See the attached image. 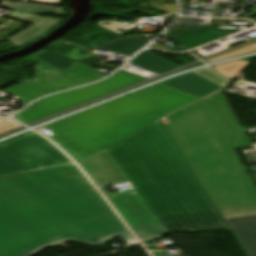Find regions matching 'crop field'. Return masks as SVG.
Returning a JSON list of instances; mask_svg holds the SVG:
<instances>
[{
	"label": "crop field",
	"mask_w": 256,
	"mask_h": 256,
	"mask_svg": "<svg viewBox=\"0 0 256 256\" xmlns=\"http://www.w3.org/2000/svg\"><path fill=\"white\" fill-rule=\"evenodd\" d=\"M105 149L168 232L229 229L160 120Z\"/></svg>",
	"instance_id": "34b2d1b8"
},
{
	"label": "crop field",
	"mask_w": 256,
	"mask_h": 256,
	"mask_svg": "<svg viewBox=\"0 0 256 256\" xmlns=\"http://www.w3.org/2000/svg\"><path fill=\"white\" fill-rule=\"evenodd\" d=\"M105 202L75 165L0 179V256H32L68 239L137 243Z\"/></svg>",
	"instance_id": "8a807250"
},
{
	"label": "crop field",
	"mask_w": 256,
	"mask_h": 256,
	"mask_svg": "<svg viewBox=\"0 0 256 256\" xmlns=\"http://www.w3.org/2000/svg\"><path fill=\"white\" fill-rule=\"evenodd\" d=\"M131 64L137 65L146 70L161 74L179 66L162 59L148 51L142 52Z\"/></svg>",
	"instance_id": "cbeb9de0"
},
{
	"label": "crop field",
	"mask_w": 256,
	"mask_h": 256,
	"mask_svg": "<svg viewBox=\"0 0 256 256\" xmlns=\"http://www.w3.org/2000/svg\"><path fill=\"white\" fill-rule=\"evenodd\" d=\"M62 43L61 42H59V41H55L54 43H52L51 45H49L47 48H50V49H52L51 47L52 46H54V45H61Z\"/></svg>",
	"instance_id": "dafd665d"
},
{
	"label": "crop field",
	"mask_w": 256,
	"mask_h": 256,
	"mask_svg": "<svg viewBox=\"0 0 256 256\" xmlns=\"http://www.w3.org/2000/svg\"><path fill=\"white\" fill-rule=\"evenodd\" d=\"M193 73H195L201 77H204L210 81H213L221 86H223L227 82H229L228 80H226L224 77H222L220 74H218L211 68L203 69V70L193 72Z\"/></svg>",
	"instance_id": "4a817a6b"
},
{
	"label": "crop field",
	"mask_w": 256,
	"mask_h": 256,
	"mask_svg": "<svg viewBox=\"0 0 256 256\" xmlns=\"http://www.w3.org/2000/svg\"><path fill=\"white\" fill-rule=\"evenodd\" d=\"M0 7L17 9V10H25V11L36 13V14L54 13L58 15H68L67 13L64 12V9L61 7L41 5V4L1 1Z\"/></svg>",
	"instance_id": "5142ce71"
},
{
	"label": "crop field",
	"mask_w": 256,
	"mask_h": 256,
	"mask_svg": "<svg viewBox=\"0 0 256 256\" xmlns=\"http://www.w3.org/2000/svg\"><path fill=\"white\" fill-rule=\"evenodd\" d=\"M198 99L158 84L45 127L55 134L50 139L75 152L82 160Z\"/></svg>",
	"instance_id": "412701ff"
},
{
	"label": "crop field",
	"mask_w": 256,
	"mask_h": 256,
	"mask_svg": "<svg viewBox=\"0 0 256 256\" xmlns=\"http://www.w3.org/2000/svg\"><path fill=\"white\" fill-rule=\"evenodd\" d=\"M16 49L15 47L6 44V43H1L0 44V53L5 52V51H9V50H13Z\"/></svg>",
	"instance_id": "214f88e0"
},
{
	"label": "crop field",
	"mask_w": 256,
	"mask_h": 256,
	"mask_svg": "<svg viewBox=\"0 0 256 256\" xmlns=\"http://www.w3.org/2000/svg\"><path fill=\"white\" fill-rule=\"evenodd\" d=\"M229 34L231 33L210 26L198 33L190 29L175 28L166 35L190 50Z\"/></svg>",
	"instance_id": "d1516ede"
},
{
	"label": "crop field",
	"mask_w": 256,
	"mask_h": 256,
	"mask_svg": "<svg viewBox=\"0 0 256 256\" xmlns=\"http://www.w3.org/2000/svg\"><path fill=\"white\" fill-rule=\"evenodd\" d=\"M164 125L249 256H256V188L234 149L253 147L221 91Z\"/></svg>",
	"instance_id": "ac0d7876"
},
{
	"label": "crop field",
	"mask_w": 256,
	"mask_h": 256,
	"mask_svg": "<svg viewBox=\"0 0 256 256\" xmlns=\"http://www.w3.org/2000/svg\"><path fill=\"white\" fill-rule=\"evenodd\" d=\"M28 170L33 168L0 150V176Z\"/></svg>",
	"instance_id": "d9b57169"
},
{
	"label": "crop field",
	"mask_w": 256,
	"mask_h": 256,
	"mask_svg": "<svg viewBox=\"0 0 256 256\" xmlns=\"http://www.w3.org/2000/svg\"><path fill=\"white\" fill-rule=\"evenodd\" d=\"M3 120V119H0V121Z\"/></svg>",
	"instance_id": "4177f3b9"
},
{
	"label": "crop field",
	"mask_w": 256,
	"mask_h": 256,
	"mask_svg": "<svg viewBox=\"0 0 256 256\" xmlns=\"http://www.w3.org/2000/svg\"><path fill=\"white\" fill-rule=\"evenodd\" d=\"M149 40L143 39H127V38H118L110 43L99 45L97 48L92 47L85 49L81 46H78L72 42L61 45L52 49L54 52H58L67 57L73 58L75 60L84 62L86 64L96 66V67H108V65L102 64L97 60L98 56L93 54L97 49H105L114 53L124 54L132 56V54L140 50Z\"/></svg>",
	"instance_id": "5a996713"
},
{
	"label": "crop field",
	"mask_w": 256,
	"mask_h": 256,
	"mask_svg": "<svg viewBox=\"0 0 256 256\" xmlns=\"http://www.w3.org/2000/svg\"><path fill=\"white\" fill-rule=\"evenodd\" d=\"M167 2V1H166ZM170 5V4H169ZM171 8L175 11V12H178V7L177 5H170Z\"/></svg>",
	"instance_id": "00972430"
},
{
	"label": "crop field",
	"mask_w": 256,
	"mask_h": 256,
	"mask_svg": "<svg viewBox=\"0 0 256 256\" xmlns=\"http://www.w3.org/2000/svg\"><path fill=\"white\" fill-rule=\"evenodd\" d=\"M151 48L172 51V50H170V49H168V48H166V47H164V46H162L158 43L154 44Z\"/></svg>",
	"instance_id": "92a150f3"
},
{
	"label": "crop field",
	"mask_w": 256,
	"mask_h": 256,
	"mask_svg": "<svg viewBox=\"0 0 256 256\" xmlns=\"http://www.w3.org/2000/svg\"><path fill=\"white\" fill-rule=\"evenodd\" d=\"M18 127H21V125L13 122L9 118L5 119V120L0 122V134L11 131V130H13L15 128H18Z\"/></svg>",
	"instance_id": "bc2a9ffb"
},
{
	"label": "crop field",
	"mask_w": 256,
	"mask_h": 256,
	"mask_svg": "<svg viewBox=\"0 0 256 256\" xmlns=\"http://www.w3.org/2000/svg\"><path fill=\"white\" fill-rule=\"evenodd\" d=\"M36 62L35 78L5 91L21 98L26 105L44 95L94 82L105 75L89 70L92 66L76 61L64 71L31 56Z\"/></svg>",
	"instance_id": "f4fd0767"
},
{
	"label": "crop field",
	"mask_w": 256,
	"mask_h": 256,
	"mask_svg": "<svg viewBox=\"0 0 256 256\" xmlns=\"http://www.w3.org/2000/svg\"><path fill=\"white\" fill-rule=\"evenodd\" d=\"M0 147L37 169L72 162L50 141L33 132L1 144Z\"/></svg>",
	"instance_id": "d8731c3e"
},
{
	"label": "crop field",
	"mask_w": 256,
	"mask_h": 256,
	"mask_svg": "<svg viewBox=\"0 0 256 256\" xmlns=\"http://www.w3.org/2000/svg\"><path fill=\"white\" fill-rule=\"evenodd\" d=\"M161 84L192 93L201 98L221 87L193 73L167 80Z\"/></svg>",
	"instance_id": "22f410ed"
},
{
	"label": "crop field",
	"mask_w": 256,
	"mask_h": 256,
	"mask_svg": "<svg viewBox=\"0 0 256 256\" xmlns=\"http://www.w3.org/2000/svg\"><path fill=\"white\" fill-rule=\"evenodd\" d=\"M143 80L146 79L121 70L105 82L42 99L15 118L27 124Z\"/></svg>",
	"instance_id": "dd49c442"
},
{
	"label": "crop field",
	"mask_w": 256,
	"mask_h": 256,
	"mask_svg": "<svg viewBox=\"0 0 256 256\" xmlns=\"http://www.w3.org/2000/svg\"><path fill=\"white\" fill-rule=\"evenodd\" d=\"M45 51H47V50L43 49V50H41V51H39V52L33 54L32 56L35 57V56H37V55H39V54H41V53H43V52H45Z\"/></svg>",
	"instance_id": "a9b5d70f"
},
{
	"label": "crop field",
	"mask_w": 256,
	"mask_h": 256,
	"mask_svg": "<svg viewBox=\"0 0 256 256\" xmlns=\"http://www.w3.org/2000/svg\"><path fill=\"white\" fill-rule=\"evenodd\" d=\"M79 164L97 187L102 184L108 185L128 181L105 149L82 160Z\"/></svg>",
	"instance_id": "3316defc"
},
{
	"label": "crop field",
	"mask_w": 256,
	"mask_h": 256,
	"mask_svg": "<svg viewBox=\"0 0 256 256\" xmlns=\"http://www.w3.org/2000/svg\"><path fill=\"white\" fill-rule=\"evenodd\" d=\"M9 18L33 23V25L25 28L21 32L9 38L11 39L9 44L15 47H19L25 44L26 42L47 33V31L50 28H52L62 20V19L42 18V17L29 15L25 13H19V12H14L9 16Z\"/></svg>",
	"instance_id": "28ad6ade"
},
{
	"label": "crop field",
	"mask_w": 256,
	"mask_h": 256,
	"mask_svg": "<svg viewBox=\"0 0 256 256\" xmlns=\"http://www.w3.org/2000/svg\"><path fill=\"white\" fill-rule=\"evenodd\" d=\"M100 190L110 200L141 242L168 234L136 192V189L114 194H110L105 188Z\"/></svg>",
	"instance_id": "e52e79f7"
},
{
	"label": "crop field",
	"mask_w": 256,
	"mask_h": 256,
	"mask_svg": "<svg viewBox=\"0 0 256 256\" xmlns=\"http://www.w3.org/2000/svg\"><path fill=\"white\" fill-rule=\"evenodd\" d=\"M36 58L49 63L53 66H56L62 70H64L65 68H67L69 65H71L73 62H75V60L67 58L65 56H62L60 54L57 53H52V52H45L39 56H37Z\"/></svg>",
	"instance_id": "733c2abd"
}]
</instances>
